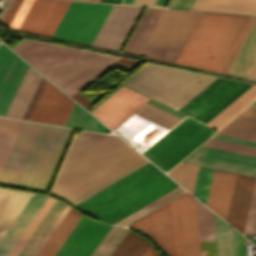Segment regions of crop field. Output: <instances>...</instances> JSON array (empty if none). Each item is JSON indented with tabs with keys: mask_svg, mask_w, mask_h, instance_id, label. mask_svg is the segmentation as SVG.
<instances>
[{
	"mask_svg": "<svg viewBox=\"0 0 256 256\" xmlns=\"http://www.w3.org/2000/svg\"><path fill=\"white\" fill-rule=\"evenodd\" d=\"M175 256H182L177 198L169 201Z\"/></svg>",
	"mask_w": 256,
	"mask_h": 256,
	"instance_id": "crop-field-39",
	"label": "crop field"
},
{
	"mask_svg": "<svg viewBox=\"0 0 256 256\" xmlns=\"http://www.w3.org/2000/svg\"><path fill=\"white\" fill-rule=\"evenodd\" d=\"M121 0H100V2H107V3H120Z\"/></svg>",
	"mask_w": 256,
	"mask_h": 256,
	"instance_id": "crop-field-62",
	"label": "crop field"
},
{
	"mask_svg": "<svg viewBox=\"0 0 256 256\" xmlns=\"http://www.w3.org/2000/svg\"><path fill=\"white\" fill-rule=\"evenodd\" d=\"M180 186L173 189L172 191L168 192L167 194L161 196L160 198L156 199L155 201L149 203L148 205L144 206L143 208L137 210L136 212L132 213L131 215L125 217L124 219L120 220L119 222L115 223V225L125 226L126 224L132 222L133 220L139 218L140 216L148 213L149 211L155 209L156 207L162 205L163 203L167 202L171 198L175 197L179 193L183 192Z\"/></svg>",
	"mask_w": 256,
	"mask_h": 256,
	"instance_id": "crop-field-38",
	"label": "crop field"
},
{
	"mask_svg": "<svg viewBox=\"0 0 256 256\" xmlns=\"http://www.w3.org/2000/svg\"><path fill=\"white\" fill-rule=\"evenodd\" d=\"M111 7L72 1L54 36L91 45Z\"/></svg>",
	"mask_w": 256,
	"mask_h": 256,
	"instance_id": "crop-field-9",
	"label": "crop field"
},
{
	"mask_svg": "<svg viewBox=\"0 0 256 256\" xmlns=\"http://www.w3.org/2000/svg\"><path fill=\"white\" fill-rule=\"evenodd\" d=\"M77 212V211H76ZM70 208L38 256H53L81 217Z\"/></svg>",
	"mask_w": 256,
	"mask_h": 256,
	"instance_id": "crop-field-28",
	"label": "crop field"
},
{
	"mask_svg": "<svg viewBox=\"0 0 256 256\" xmlns=\"http://www.w3.org/2000/svg\"><path fill=\"white\" fill-rule=\"evenodd\" d=\"M147 102H149V103H151V104H153V105H155V106H157V107H159V108H161V109H163V110H165V111H167V112H169V113H171V114H173V115H175V116H177L181 119H183L185 117V116H183L184 114L181 115V114H179V113H177V112H175V111H173V110H171V109H169V108H167V107H165V106H163V105H161V104H159V103H157V102H155L151 99H149Z\"/></svg>",
	"mask_w": 256,
	"mask_h": 256,
	"instance_id": "crop-field-56",
	"label": "crop field"
},
{
	"mask_svg": "<svg viewBox=\"0 0 256 256\" xmlns=\"http://www.w3.org/2000/svg\"><path fill=\"white\" fill-rule=\"evenodd\" d=\"M256 179L236 176L226 221L243 234Z\"/></svg>",
	"mask_w": 256,
	"mask_h": 256,
	"instance_id": "crop-field-19",
	"label": "crop field"
},
{
	"mask_svg": "<svg viewBox=\"0 0 256 256\" xmlns=\"http://www.w3.org/2000/svg\"><path fill=\"white\" fill-rule=\"evenodd\" d=\"M235 176L234 173L214 171L206 205L224 220L226 219Z\"/></svg>",
	"mask_w": 256,
	"mask_h": 256,
	"instance_id": "crop-field-22",
	"label": "crop field"
},
{
	"mask_svg": "<svg viewBox=\"0 0 256 256\" xmlns=\"http://www.w3.org/2000/svg\"><path fill=\"white\" fill-rule=\"evenodd\" d=\"M142 157L118 137L82 131L73 140L52 193L71 201Z\"/></svg>",
	"mask_w": 256,
	"mask_h": 256,
	"instance_id": "crop-field-2",
	"label": "crop field"
},
{
	"mask_svg": "<svg viewBox=\"0 0 256 256\" xmlns=\"http://www.w3.org/2000/svg\"><path fill=\"white\" fill-rule=\"evenodd\" d=\"M135 0H123L122 3L134 4Z\"/></svg>",
	"mask_w": 256,
	"mask_h": 256,
	"instance_id": "crop-field-63",
	"label": "crop field"
},
{
	"mask_svg": "<svg viewBox=\"0 0 256 256\" xmlns=\"http://www.w3.org/2000/svg\"><path fill=\"white\" fill-rule=\"evenodd\" d=\"M202 145L203 146H208V147H213V148H218V149H223V150H228V151H232V152H237V153L256 156V147L241 145V144L222 141V140H218V139L210 138L209 140H207Z\"/></svg>",
	"mask_w": 256,
	"mask_h": 256,
	"instance_id": "crop-field-41",
	"label": "crop field"
},
{
	"mask_svg": "<svg viewBox=\"0 0 256 256\" xmlns=\"http://www.w3.org/2000/svg\"><path fill=\"white\" fill-rule=\"evenodd\" d=\"M200 14L147 8L124 51L174 62Z\"/></svg>",
	"mask_w": 256,
	"mask_h": 256,
	"instance_id": "crop-field-4",
	"label": "crop field"
},
{
	"mask_svg": "<svg viewBox=\"0 0 256 256\" xmlns=\"http://www.w3.org/2000/svg\"><path fill=\"white\" fill-rule=\"evenodd\" d=\"M75 102L47 82L29 120L64 126Z\"/></svg>",
	"mask_w": 256,
	"mask_h": 256,
	"instance_id": "crop-field-15",
	"label": "crop field"
},
{
	"mask_svg": "<svg viewBox=\"0 0 256 256\" xmlns=\"http://www.w3.org/2000/svg\"><path fill=\"white\" fill-rule=\"evenodd\" d=\"M12 193V190L0 188V210L2 209V207L4 206V204L9 199Z\"/></svg>",
	"mask_w": 256,
	"mask_h": 256,
	"instance_id": "crop-field-55",
	"label": "crop field"
},
{
	"mask_svg": "<svg viewBox=\"0 0 256 256\" xmlns=\"http://www.w3.org/2000/svg\"><path fill=\"white\" fill-rule=\"evenodd\" d=\"M237 116L247 118V119L256 120V107L248 106L246 109H244Z\"/></svg>",
	"mask_w": 256,
	"mask_h": 256,
	"instance_id": "crop-field-53",
	"label": "crop field"
},
{
	"mask_svg": "<svg viewBox=\"0 0 256 256\" xmlns=\"http://www.w3.org/2000/svg\"><path fill=\"white\" fill-rule=\"evenodd\" d=\"M117 62L119 63H123V64H128V65H132L134 66L136 63H138L137 61H133V60H129V59H125V58H121L120 60H118ZM115 64V63H114ZM111 67V66H110ZM107 70V69H106ZM98 77V76H97ZM94 80V79H93ZM90 83V82H89ZM88 83V84H89ZM85 87V86H84ZM81 90V89H80ZM71 97H73L75 100H77L79 103H81L83 106H85L86 108L91 104L89 103L87 100H85L84 98H82L80 95L77 94V92L72 95ZM84 107V108H85Z\"/></svg>",
	"mask_w": 256,
	"mask_h": 256,
	"instance_id": "crop-field-51",
	"label": "crop field"
},
{
	"mask_svg": "<svg viewBox=\"0 0 256 256\" xmlns=\"http://www.w3.org/2000/svg\"><path fill=\"white\" fill-rule=\"evenodd\" d=\"M29 65L0 45V115L4 116Z\"/></svg>",
	"mask_w": 256,
	"mask_h": 256,
	"instance_id": "crop-field-17",
	"label": "crop field"
},
{
	"mask_svg": "<svg viewBox=\"0 0 256 256\" xmlns=\"http://www.w3.org/2000/svg\"><path fill=\"white\" fill-rule=\"evenodd\" d=\"M250 86L252 85L218 78L179 111L206 123Z\"/></svg>",
	"mask_w": 256,
	"mask_h": 256,
	"instance_id": "crop-field-10",
	"label": "crop field"
},
{
	"mask_svg": "<svg viewBox=\"0 0 256 256\" xmlns=\"http://www.w3.org/2000/svg\"><path fill=\"white\" fill-rule=\"evenodd\" d=\"M118 59L82 50L45 76L71 96Z\"/></svg>",
	"mask_w": 256,
	"mask_h": 256,
	"instance_id": "crop-field-8",
	"label": "crop field"
},
{
	"mask_svg": "<svg viewBox=\"0 0 256 256\" xmlns=\"http://www.w3.org/2000/svg\"><path fill=\"white\" fill-rule=\"evenodd\" d=\"M200 241L215 240L213 213L196 200Z\"/></svg>",
	"mask_w": 256,
	"mask_h": 256,
	"instance_id": "crop-field-37",
	"label": "crop field"
},
{
	"mask_svg": "<svg viewBox=\"0 0 256 256\" xmlns=\"http://www.w3.org/2000/svg\"><path fill=\"white\" fill-rule=\"evenodd\" d=\"M47 196L33 194L22 212L0 242V256H8L21 235L24 233Z\"/></svg>",
	"mask_w": 256,
	"mask_h": 256,
	"instance_id": "crop-field-20",
	"label": "crop field"
},
{
	"mask_svg": "<svg viewBox=\"0 0 256 256\" xmlns=\"http://www.w3.org/2000/svg\"><path fill=\"white\" fill-rule=\"evenodd\" d=\"M244 233H256V185Z\"/></svg>",
	"mask_w": 256,
	"mask_h": 256,
	"instance_id": "crop-field-45",
	"label": "crop field"
},
{
	"mask_svg": "<svg viewBox=\"0 0 256 256\" xmlns=\"http://www.w3.org/2000/svg\"><path fill=\"white\" fill-rule=\"evenodd\" d=\"M111 227L88 219L63 256H90Z\"/></svg>",
	"mask_w": 256,
	"mask_h": 256,
	"instance_id": "crop-field-21",
	"label": "crop field"
},
{
	"mask_svg": "<svg viewBox=\"0 0 256 256\" xmlns=\"http://www.w3.org/2000/svg\"><path fill=\"white\" fill-rule=\"evenodd\" d=\"M46 81H47L46 79L42 78V80H41V82H40V84H39V86H38V88H37V90H36V92H35V94H34V96H33V98H32V100H31V102H30V104H29V106H28V108H27V110H26L22 119H25V120L28 119V117H29V115H30V113H31V111H32V109H33V107H34V105H35V103H36V101H37L45 83H46Z\"/></svg>",
	"mask_w": 256,
	"mask_h": 256,
	"instance_id": "crop-field-49",
	"label": "crop field"
},
{
	"mask_svg": "<svg viewBox=\"0 0 256 256\" xmlns=\"http://www.w3.org/2000/svg\"><path fill=\"white\" fill-rule=\"evenodd\" d=\"M248 19L202 12L175 62L220 72Z\"/></svg>",
	"mask_w": 256,
	"mask_h": 256,
	"instance_id": "crop-field-5",
	"label": "crop field"
},
{
	"mask_svg": "<svg viewBox=\"0 0 256 256\" xmlns=\"http://www.w3.org/2000/svg\"><path fill=\"white\" fill-rule=\"evenodd\" d=\"M142 256H157L155 249L150 244Z\"/></svg>",
	"mask_w": 256,
	"mask_h": 256,
	"instance_id": "crop-field-58",
	"label": "crop field"
},
{
	"mask_svg": "<svg viewBox=\"0 0 256 256\" xmlns=\"http://www.w3.org/2000/svg\"><path fill=\"white\" fill-rule=\"evenodd\" d=\"M215 79L146 63L122 84L178 110Z\"/></svg>",
	"mask_w": 256,
	"mask_h": 256,
	"instance_id": "crop-field-6",
	"label": "crop field"
},
{
	"mask_svg": "<svg viewBox=\"0 0 256 256\" xmlns=\"http://www.w3.org/2000/svg\"><path fill=\"white\" fill-rule=\"evenodd\" d=\"M147 163H149V162L144 159L142 162L136 164L135 166L129 168L128 170L122 172L121 174L115 176L114 178L108 180L107 182L101 184L100 186H98V187L94 188L93 190L87 192L86 194L80 196L79 198L73 200L72 203L75 205V204L81 202L82 200L88 198L89 196L95 194L96 192L102 190L103 188L109 186L110 184L114 183L115 181L121 179L122 177L128 175L129 173L135 171L136 169L142 167L143 165H145Z\"/></svg>",
	"mask_w": 256,
	"mask_h": 256,
	"instance_id": "crop-field-43",
	"label": "crop field"
},
{
	"mask_svg": "<svg viewBox=\"0 0 256 256\" xmlns=\"http://www.w3.org/2000/svg\"><path fill=\"white\" fill-rule=\"evenodd\" d=\"M86 220H87V218L82 215L80 220L77 222V224L75 225L73 230L70 232V234L68 235V237L63 242V244L61 245V247L59 248V250L57 251V253L54 256H62L63 255V253L68 248L70 243L73 241V239L75 238V236L77 235V233L79 232V230L81 229V227L83 226V224L85 223Z\"/></svg>",
	"mask_w": 256,
	"mask_h": 256,
	"instance_id": "crop-field-46",
	"label": "crop field"
},
{
	"mask_svg": "<svg viewBox=\"0 0 256 256\" xmlns=\"http://www.w3.org/2000/svg\"><path fill=\"white\" fill-rule=\"evenodd\" d=\"M33 0H24L20 6L18 12L16 13L14 19L12 20L10 27L19 29L26 13L28 12Z\"/></svg>",
	"mask_w": 256,
	"mask_h": 256,
	"instance_id": "crop-field-47",
	"label": "crop field"
},
{
	"mask_svg": "<svg viewBox=\"0 0 256 256\" xmlns=\"http://www.w3.org/2000/svg\"><path fill=\"white\" fill-rule=\"evenodd\" d=\"M65 126L101 132H105L107 129L77 104H75Z\"/></svg>",
	"mask_w": 256,
	"mask_h": 256,
	"instance_id": "crop-field-33",
	"label": "crop field"
},
{
	"mask_svg": "<svg viewBox=\"0 0 256 256\" xmlns=\"http://www.w3.org/2000/svg\"><path fill=\"white\" fill-rule=\"evenodd\" d=\"M65 205V203L55 200L17 256H31L33 254Z\"/></svg>",
	"mask_w": 256,
	"mask_h": 256,
	"instance_id": "crop-field-27",
	"label": "crop field"
},
{
	"mask_svg": "<svg viewBox=\"0 0 256 256\" xmlns=\"http://www.w3.org/2000/svg\"><path fill=\"white\" fill-rule=\"evenodd\" d=\"M155 0H136L135 4L153 6Z\"/></svg>",
	"mask_w": 256,
	"mask_h": 256,
	"instance_id": "crop-field-59",
	"label": "crop field"
},
{
	"mask_svg": "<svg viewBox=\"0 0 256 256\" xmlns=\"http://www.w3.org/2000/svg\"><path fill=\"white\" fill-rule=\"evenodd\" d=\"M149 244L129 230L111 256H141Z\"/></svg>",
	"mask_w": 256,
	"mask_h": 256,
	"instance_id": "crop-field-32",
	"label": "crop field"
},
{
	"mask_svg": "<svg viewBox=\"0 0 256 256\" xmlns=\"http://www.w3.org/2000/svg\"><path fill=\"white\" fill-rule=\"evenodd\" d=\"M13 50L44 75L80 51L29 40H25Z\"/></svg>",
	"mask_w": 256,
	"mask_h": 256,
	"instance_id": "crop-field-14",
	"label": "crop field"
},
{
	"mask_svg": "<svg viewBox=\"0 0 256 256\" xmlns=\"http://www.w3.org/2000/svg\"><path fill=\"white\" fill-rule=\"evenodd\" d=\"M135 113L159 123L169 129L175 126L181 119L145 102Z\"/></svg>",
	"mask_w": 256,
	"mask_h": 256,
	"instance_id": "crop-field-34",
	"label": "crop field"
},
{
	"mask_svg": "<svg viewBox=\"0 0 256 256\" xmlns=\"http://www.w3.org/2000/svg\"><path fill=\"white\" fill-rule=\"evenodd\" d=\"M198 168L199 167L197 166L180 163L175 168H173L168 175L192 193Z\"/></svg>",
	"mask_w": 256,
	"mask_h": 256,
	"instance_id": "crop-field-35",
	"label": "crop field"
},
{
	"mask_svg": "<svg viewBox=\"0 0 256 256\" xmlns=\"http://www.w3.org/2000/svg\"><path fill=\"white\" fill-rule=\"evenodd\" d=\"M212 169L200 167L193 195L206 203L212 175Z\"/></svg>",
	"mask_w": 256,
	"mask_h": 256,
	"instance_id": "crop-field-42",
	"label": "crop field"
},
{
	"mask_svg": "<svg viewBox=\"0 0 256 256\" xmlns=\"http://www.w3.org/2000/svg\"><path fill=\"white\" fill-rule=\"evenodd\" d=\"M256 59V21L243 42L227 73L244 77Z\"/></svg>",
	"mask_w": 256,
	"mask_h": 256,
	"instance_id": "crop-field-26",
	"label": "crop field"
},
{
	"mask_svg": "<svg viewBox=\"0 0 256 256\" xmlns=\"http://www.w3.org/2000/svg\"><path fill=\"white\" fill-rule=\"evenodd\" d=\"M70 207H68L66 205V207L64 208V210L62 211V213L60 214V216L57 218V220L55 221V223L53 224V226L51 227V229L49 230V232L47 233V235L45 236V238L43 239V241L40 243V245L38 246V248L36 249V251L34 252V254L32 256H37L38 253L41 251V249L43 248V246L45 245V243L47 242V240L49 239V237L51 236V234L54 232V230L56 229V227L58 226V224L60 223V221L62 220V218L65 216V214L67 213V211L69 210Z\"/></svg>",
	"mask_w": 256,
	"mask_h": 256,
	"instance_id": "crop-field-48",
	"label": "crop field"
},
{
	"mask_svg": "<svg viewBox=\"0 0 256 256\" xmlns=\"http://www.w3.org/2000/svg\"><path fill=\"white\" fill-rule=\"evenodd\" d=\"M183 162L256 177V157L200 146Z\"/></svg>",
	"mask_w": 256,
	"mask_h": 256,
	"instance_id": "crop-field-11",
	"label": "crop field"
},
{
	"mask_svg": "<svg viewBox=\"0 0 256 256\" xmlns=\"http://www.w3.org/2000/svg\"><path fill=\"white\" fill-rule=\"evenodd\" d=\"M23 0H15L10 7L9 11L7 12L6 16L4 17L3 21L5 24L9 26L11 20L13 19L15 13L17 12L20 4L22 3Z\"/></svg>",
	"mask_w": 256,
	"mask_h": 256,
	"instance_id": "crop-field-52",
	"label": "crop field"
},
{
	"mask_svg": "<svg viewBox=\"0 0 256 256\" xmlns=\"http://www.w3.org/2000/svg\"><path fill=\"white\" fill-rule=\"evenodd\" d=\"M216 133L256 141V121L235 117Z\"/></svg>",
	"mask_w": 256,
	"mask_h": 256,
	"instance_id": "crop-field-31",
	"label": "crop field"
},
{
	"mask_svg": "<svg viewBox=\"0 0 256 256\" xmlns=\"http://www.w3.org/2000/svg\"><path fill=\"white\" fill-rule=\"evenodd\" d=\"M213 133L211 127L185 118L143 154L168 171Z\"/></svg>",
	"mask_w": 256,
	"mask_h": 256,
	"instance_id": "crop-field-7",
	"label": "crop field"
},
{
	"mask_svg": "<svg viewBox=\"0 0 256 256\" xmlns=\"http://www.w3.org/2000/svg\"><path fill=\"white\" fill-rule=\"evenodd\" d=\"M255 19H256V17H250V19H249L247 25L245 26V28H244L242 34L240 35V37H239V39H238L236 45L234 46V48H233L231 54L229 55V57H228L226 63L224 64V66H223L221 72L226 73V71H227L229 65L231 64L233 58L235 57V55H236L238 49L240 48L242 42L244 41V39H245L247 33L249 32L251 26L253 25ZM248 34H249V33H248ZM239 50H240V49H239ZM234 59H235V58H234ZM230 66H231V65H230Z\"/></svg>",
	"mask_w": 256,
	"mask_h": 256,
	"instance_id": "crop-field-44",
	"label": "crop field"
},
{
	"mask_svg": "<svg viewBox=\"0 0 256 256\" xmlns=\"http://www.w3.org/2000/svg\"><path fill=\"white\" fill-rule=\"evenodd\" d=\"M70 130L0 118V184L44 191Z\"/></svg>",
	"mask_w": 256,
	"mask_h": 256,
	"instance_id": "crop-field-1",
	"label": "crop field"
},
{
	"mask_svg": "<svg viewBox=\"0 0 256 256\" xmlns=\"http://www.w3.org/2000/svg\"><path fill=\"white\" fill-rule=\"evenodd\" d=\"M53 202H54V199L48 197V199L46 200L42 208L39 210V212L37 213V215L31 222V224L29 225L25 233L22 235V237L20 238V240L18 241V243L16 244V246L14 247V249L12 250L9 256H16L18 254V252L21 250V248L23 247V245L25 244L29 236L32 234V232L34 231V229L36 228L38 223L41 221V219L43 218V216L45 215V213L47 212V210L49 209V207L52 205Z\"/></svg>",
	"mask_w": 256,
	"mask_h": 256,
	"instance_id": "crop-field-40",
	"label": "crop field"
},
{
	"mask_svg": "<svg viewBox=\"0 0 256 256\" xmlns=\"http://www.w3.org/2000/svg\"><path fill=\"white\" fill-rule=\"evenodd\" d=\"M201 256H217L215 241L200 242Z\"/></svg>",
	"mask_w": 256,
	"mask_h": 256,
	"instance_id": "crop-field-50",
	"label": "crop field"
},
{
	"mask_svg": "<svg viewBox=\"0 0 256 256\" xmlns=\"http://www.w3.org/2000/svg\"><path fill=\"white\" fill-rule=\"evenodd\" d=\"M182 1L183 0H173L170 7H180ZM193 1L194 0H185L182 7L190 8ZM195 1L193 2L190 9L256 15V14H253V13H256V0H197L196 3H195ZM194 3H195V5H194ZM193 5H194V7H198V8L231 10V11L253 12V13L198 9V8H192Z\"/></svg>",
	"mask_w": 256,
	"mask_h": 256,
	"instance_id": "crop-field-23",
	"label": "crop field"
},
{
	"mask_svg": "<svg viewBox=\"0 0 256 256\" xmlns=\"http://www.w3.org/2000/svg\"><path fill=\"white\" fill-rule=\"evenodd\" d=\"M167 0H157L154 6L164 7Z\"/></svg>",
	"mask_w": 256,
	"mask_h": 256,
	"instance_id": "crop-field-61",
	"label": "crop field"
},
{
	"mask_svg": "<svg viewBox=\"0 0 256 256\" xmlns=\"http://www.w3.org/2000/svg\"><path fill=\"white\" fill-rule=\"evenodd\" d=\"M212 137H213V138L222 139V140L237 142V143H241V144L256 146V142H251V141H246V140L231 138V137H227V136H222V135L214 134Z\"/></svg>",
	"mask_w": 256,
	"mask_h": 256,
	"instance_id": "crop-field-54",
	"label": "crop field"
},
{
	"mask_svg": "<svg viewBox=\"0 0 256 256\" xmlns=\"http://www.w3.org/2000/svg\"><path fill=\"white\" fill-rule=\"evenodd\" d=\"M71 1L34 0L20 29L53 36Z\"/></svg>",
	"mask_w": 256,
	"mask_h": 256,
	"instance_id": "crop-field-13",
	"label": "crop field"
},
{
	"mask_svg": "<svg viewBox=\"0 0 256 256\" xmlns=\"http://www.w3.org/2000/svg\"><path fill=\"white\" fill-rule=\"evenodd\" d=\"M147 99L122 86L91 113L113 129Z\"/></svg>",
	"mask_w": 256,
	"mask_h": 256,
	"instance_id": "crop-field-16",
	"label": "crop field"
},
{
	"mask_svg": "<svg viewBox=\"0 0 256 256\" xmlns=\"http://www.w3.org/2000/svg\"><path fill=\"white\" fill-rule=\"evenodd\" d=\"M31 196L30 193L14 191L0 212V240Z\"/></svg>",
	"mask_w": 256,
	"mask_h": 256,
	"instance_id": "crop-field-29",
	"label": "crop field"
},
{
	"mask_svg": "<svg viewBox=\"0 0 256 256\" xmlns=\"http://www.w3.org/2000/svg\"><path fill=\"white\" fill-rule=\"evenodd\" d=\"M255 98L256 85H253L230 105L218 113L214 118H212L207 124L215 128H220Z\"/></svg>",
	"mask_w": 256,
	"mask_h": 256,
	"instance_id": "crop-field-30",
	"label": "crop field"
},
{
	"mask_svg": "<svg viewBox=\"0 0 256 256\" xmlns=\"http://www.w3.org/2000/svg\"><path fill=\"white\" fill-rule=\"evenodd\" d=\"M84 1H94V2H99V0H84Z\"/></svg>",
	"mask_w": 256,
	"mask_h": 256,
	"instance_id": "crop-field-65",
	"label": "crop field"
},
{
	"mask_svg": "<svg viewBox=\"0 0 256 256\" xmlns=\"http://www.w3.org/2000/svg\"><path fill=\"white\" fill-rule=\"evenodd\" d=\"M13 0H5L0 8V20L2 21L3 17L5 16L7 10L9 9L10 5L12 4Z\"/></svg>",
	"mask_w": 256,
	"mask_h": 256,
	"instance_id": "crop-field-57",
	"label": "crop field"
},
{
	"mask_svg": "<svg viewBox=\"0 0 256 256\" xmlns=\"http://www.w3.org/2000/svg\"><path fill=\"white\" fill-rule=\"evenodd\" d=\"M218 256H244L243 237L214 215Z\"/></svg>",
	"mask_w": 256,
	"mask_h": 256,
	"instance_id": "crop-field-24",
	"label": "crop field"
},
{
	"mask_svg": "<svg viewBox=\"0 0 256 256\" xmlns=\"http://www.w3.org/2000/svg\"><path fill=\"white\" fill-rule=\"evenodd\" d=\"M183 256H200L195 198L178 196Z\"/></svg>",
	"mask_w": 256,
	"mask_h": 256,
	"instance_id": "crop-field-18",
	"label": "crop field"
},
{
	"mask_svg": "<svg viewBox=\"0 0 256 256\" xmlns=\"http://www.w3.org/2000/svg\"><path fill=\"white\" fill-rule=\"evenodd\" d=\"M129 229L113 226L91 256H110Z\"/></svg>",
	"mask_w": 256,
	"mask_h": 256,
	"instance_id": "crop-field-36",
	"label": "crop field"
},
{
	"mask_svg": "<svg viewBox=\"0 0 256 256\" xmlns=\"http://www.w3.org/2000/svg\"><path fill=\"white\" fill-rule=\"evenodd\" d=\"M248 78L256 79V61L248 74Z\"/></svg>",
	"mask_w": 256,
	"mask_h": 256,
	"instance_id": "crop-field-60",
	"label": "crop field"
},
{
	"mask_svg": "<svg viewBox=\"0 0 256 256\" xmlns=\"http://www.w3.org/2000/svg\"><path fill=\"white\" fill-rule=\"evenodd\" d=\"M177 186L149 163L75 206L113 224Z\"/></svg>",
	"mask_w": 256,
	"mask_h": 256,
	"instance_id": "crop-field-3",
	"label": "crop field"
},
{
	"mask_svg": "<svg viewBox=\"0 0 256 256\" xmlns=\"http://www.w3.org/2000/svg\"><path fill=\"white\" fill-rule=\"evenodd\" d=\"M142 8L113 5L92 45L119 50Z\"/></svg>",
	"mask_w": 256,
	"mask_h": 256,
	"instance_id": "crop-field-12",
	"label": "crop field"
},
{
	"mask_svg": "<svg viewBox=\"0 0 256 256\" xmlns=\"http://www.w3.org/2000/svg\"><path fill=\"white\" fill-rule=\"evenodd\" d=\"M42 76L29 67L5 116L21 119Z\"/></svg>",
	"mask_w": 256,
	"mask_h": 256,
	"instance_id": "crop-field-25",
	"label": "crop field"
},
{
	"mask_svg": "<svg viewBox=\"0 0 256 256\" xmlns=\"http://www.w3.org/2000/svg\"><path fill=\"white\" fill-rule=\"evenodd\" d=\"M251 106H256V100L250 104Z\"/></svg>",
	"mask_w": 256,
	"mask_h": 256,
	"instance_id": "crop-field-64",
	"label": "crop field"
}]
</instances>
